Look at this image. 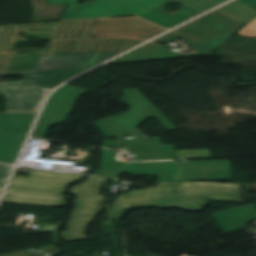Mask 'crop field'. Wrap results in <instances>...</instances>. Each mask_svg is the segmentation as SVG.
<instances>
[{"label": "crop field", "mask_w": 256, "mask_h": 256, "mask_svg": "<svg viewBox=\"0 0 256 256\" xmlns=\"http://www.w3.org/2000/svg\"><path fill=\"white\" fill-rule=\"evenodd\" d=\"M139 125L129 112L95 122L106 138H118L125 149L137 151V161L178 158L172 145H163L160 137L147 138L135 129Z\"/></svg>", "instance_id": "dd49c442"}, {"label": "crop field", "mask_w": 256, "mask_h": 256, "mask_svg": "<svg viewBox=\"0 0 256 256\" xmlns=\"http://www.w3.org/2000/svg\"><path fill=\"white\" fill-rule=\"evenodd\" d=\"M232 180L230 161H181L180 181Z\"/></svg>", "instance_id": "5a996713"}, {"label": "crop field", "mask_w": 256, "mask_h": 256, "mask_svg": "<svg viewBox=\"0 0 256 256\" xmlns=\"http://www.w3.org/2000/svg\"><path fill=\"white\" fill-rule=\"evenodd\" d=\"M42 53L13 55L5 72L36 70Z\"/></svg>", "instance_id": "cbeb9de0"}, {"label": "crop field", "mask_w": 256, "mask_h": 256, "mask_svg": "<svg viewBox=\"0 0 256 256\" xmlns=\"http://www.w3.org/2000/svg\"><path fill=\"white\" fill-rule=\"evenodd\" d=\"M13 166L0 164V186L3 187Z\"/></svg>", "instance_id": "214f88e0"}, {"label": "crop field", "mask_w": 256, "mask_h": 256, "mask_svg": "<svg viewBox=\"0 0 256 256\" xmlns=\"http://www.w3.org/2000/svg\"><path fill=\"white\" fill-rule=\"evenodd\" d=\"M180 159L212 157L209 150L176 151Z\"/></svg>", "instance_id": "733c2abd"}, {"label": "crop field", "mask_w": 256, "mask_h": 256, "mask_svg": "<svg viewBox=\"0 0 256 256\" xmlns=\"http://www.w3.org/2000/svg\"><path fill=\"white\" fill-rule=\"evenodd\" d=\"M182 194L214 201L241 203V185L182 183Z\"/></svg>", "instance_id": "28ad6ade"}, {"label": "crop field", "mask_w": 256, "mask_h": 256, "mask_svg": "<svg viewBox=\"0 0 256 256\" xmlns=\"http://www.w3.org/2000/svg\"><path fill=\"white\" fill-rule=\"evenodd\" d=\"M78 0H48V5L70 4L60 21L87 20L122 16H138L170 29L203 11L182 2V10L175 14L165 12L164 6L177 0H96L76 5Z\"/></svg>", "instance_id": "34b2d1b8"}, {"label": "crop field", "mask_w": 256, "mask_h": 256, "mask_svg": "<svg viewBox=\"0 0 256 256\" xmlns=\"http://www.w3.org/2000/svg\"><path fill=\"white\" fill-rule=\"evenodd\" d=\"M102 147L122 148L118 141L105 140Z\"/></svg>", "instance_id": "dafd665d"}, {"label": "crop field", "mask_w": 256, "mask_h": 256, "mask_svg": "<svg viewBox=\"0 0 256 256\" xmlns=\"http://www.w3.org/2000/svg\"><path fill=\"white\" fill-rule=\"evenodd\" d=\"M83 178L84 175L31 170L27 178L14 176L2 202L62 208L67 187Z\"/></svg>", "instance_id": "412701ff"}, {"label": "crop field", "mask_w": 256, "mask_h": 256, "mask_svg": "<svg viewBox=\"0 0 256 256\" xmlns=\"http://www.w3.org/2000/svg\"><path fill=\"white\" fill-rule=\"evenodd\" d=\"M207 203V200L182 196L180 184L159 183L157 187L134 190L119 197L105 220H120L127 210L149 207L203 211Z\"/></svg>", "instance_id": "f4fd0767"}, {"label": "crop field", "mask_w": 256, "mask_h": 256, "mask_svg": "<svg viewBox=\"0 0 256 256\" xmlns=\"http://www.w3.org/2000/svg\"><path fill=\"white\" fill-rule=\"evenodd\" d=\"M98 53L43 56L37 70L90 65Z\"/></svg>", "instance_id": "22f410ed"}, {"label": "crop field", "mask_w": 256, "mask_h": 256, "mask_svg": "<svg viewBox=\"0 0 256 256\" xmlns=\"http://www.w3.org/2000/svg\"><path fill=\"white\" fill-rule=\"evenodd\" d=\"M217 11L230 16L240 22H243L245 24H248L253 19L256 18V13L235 3L232 2L230 4H227L219 9Z\"/></svg>", "instance_id": "5142ce71"}, {"label": "crop field", "mask_w": 256, "mask_h": 256, "mask_svg": "<svg viewBox=\"0 0 256 256\" xmlns=\"http://www.w3.org/2000/svg\"><path fill=\"white\" fill-rule=\"evenodd\" d=\"M90 67L0 74L23 78L0 84V94L7 98V112H0V162L14 164L47 92Z\"/></svg>", "instance_id": "8a807250"}, {"label": "crop field", "mask_w": 256, "mask_h": 256, "mask_svg": "<svg viewBox=\"0 0 256 256\" xmlns=\"http://www.w3.org/2000/svg\"><path fill=\"white\" fill-rule=\"evenodd\" d=\"M240 24L230 17L213 11L154 40V42L168 44L174 38H184L196 50L194 53H169L164 45L148 43L109 64L210 56L235 35L241 27Z\"/></svg>", "instance_id": "ac0d7876"}, {"label": "crop field", "mask_w": 256, "mask_h": 256, "mask_svg": "<svg viewBox=\"0 0 256 256\" xmlns=\"http://www.w3.org/2000/svg\"><path fill=\"white\" fill-rule=\"evenodd\" d=\"M124 95L120 98L129 107V112L141 124L149 117H156L168 130L177 128L137 89H123Z\"/></svg>", "instance_id": "d1516ede"}, {"label": "crop field", "mask_w": 256, "mask_h": 256, "mask_svg": "<svg viewBox=\"0 0 256 256\" xmlns=\"http://www.w3.org/2000/svg\"><path fill=\"white\" fill-rule=\"evenodd\" d=\"M105 178L89 176L86 183L72 186V194L77 196L73 200L75 206L66 231L62 238L67 241L83 239L86 236L89 222H94L100 211L105 208L102 204L103 196L100 195Z\"/></svg>", "instance_id": "e52e79f7"}, {"label": "crop field", "mask_w": 256, "mask_h": 256, "mask_svg": "<svg viewBox=\"0 0 256 256\" xmlns=\"http://www.w3.org/2000/svg\"><path fill=\"white\" fill-rule=\"evenodd\" d=\"M57 93H62V94H66V95H71V96H77L79 97L80 95L88 92V91H84V90H80L74 87H70V86H63L61 89H59L58 91H56Z\"/></svg>", "instance_id": "4a817a6b"}, {"label": "crop field", "mask_w": 256, "mask_h": 256, "mask_svg": "<svg viewBox=\"0 0 256 256\" xmlns=\"http://www.w3.org/2000/svg\"><path fill=\"white\" fill-rule=\"evenodd\" d=\"M237 35L256 37V19L239 31Z\"/></svg>", "instance_id": "bc2a9ffb"}, {"label": "crop field", "mask_w": 256, "mask_h": 256, "mask_svg": "<svg viewBox=\"0 0 256 256\" xmlns=\"http://www.w3.org/2000/svg\"><path fill=\"white\" fill-rule=\"evenodd\" d=\"M76 100V97L54 93L47 102L32 137L44 138L51 125L65 122Z\"/></svg>", "instance_id": "3316defc"}, {"label": "crop field", "mask_w": 256, "mask_h": 256, "mask_svg": "<svg viewBox=\"0 0 256 256\" xmlns=\"http://www.w3.org/2000/svg\"><path fill=\"white\" fill-rule=\"evenodd\" d=\"M115 150L101 149V163L94 173L119 178L122 173L132 176H157L158 181L179 182V164L167 162L120 163L113 159Z\"/></svg>", "instance_id": "d8731c3e"}, {"label": "crop field", "mask_w": 256, "mask_h": 256, "mask_svg": "<svg viewBox=\"0 0 256 256\" xmlns=\"http://www.w3.org/2000/svg\"><path fill=\"white\" fill-rule=\"evenodd\" d=\"M203 11H206L226 0H179Z\"/></svg>", "instance_id": "d9b57169"}, {"label": "crop field", "mask_w": 256, "mask_h": 256, "mask_svg": "<svg viewBox=\"0 0 256 256\" xmlns=\"http://www.w3.org/2000/svg\"><path fill=\"white\" fill-rule=\"evenodd\" d=\"M120 53L118 52H104V53H99L98 56L95 58V60L92 62L91 65H97L109 58H112Z\"/></svg>", "instance_id": "92a150f3"}, {"label": "crop field", "mask_w": 256, "mask_h": 256, "mask_svg": "<svg viewBox=\"0 0 256 256\" xmlns=\"http://www.w3.org/2000/svg\"><path fill=\"white\" fill-rule=\"evenodd\" d=\"M1 189H2V188H0V193H1Z\"/></svg>", "instance_id": "00972430"}]
</instances>
